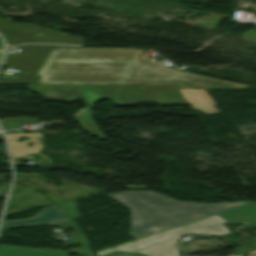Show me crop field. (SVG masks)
<instances>
[{
    "instance_id": "14",
    "label": "crop field",
    "mask_w": 256,
    "mask_h": 256,
    "mask_svg": "<svg viewBox=\"0 0 256 256\" xmlns=\"http://www.w3.org/2000/svg\"><path fill=\"white\" fill-rule=\"evenodd\" d=\"M86 256H94V254H89V255H86ZM110 256H139V255H128V254H123V253H117V254H112Z\"/></svg>"
},
{
    "instance_id": "22",
    "label": "crop field",
    "mask_w": 256,
    "mask_h": 256,
    "mask_svg": "<svg viewBox=\"0 0 256 256\" xmlns=\"http://www.w3.org/2000/svg\"><path fill=\"white\" fill-rule=\"evenodd\" d=\"M1 133V132H0Z\"/></svg>"
},
{
    "instance_id": "16",
    "label": "crop field",
    "mask_w": 256,
    "mask_h": 256,
    "mask_svg": "<svg viewBox=\"0 0 256 256\" xmlns=\"http://www.w3.org/2000/svg\"><path fill=\"white\" fill-rule=\"evenodd\" d=\"M2 56H3V51H0V62H1Z\"/></svg>"
},
{
    "instance_id": "18",
    "label": "crop field",
    "mask_w": 256,
    "mask_h": 256,
    "mask_svg": "<svg viewBox=\"0 0 256 256\" xmlns=\"http://www.w3.org/2000/svg\"><path fill=\"white\" fill-rule=\"evenodd\" d=\"M0 49H3V44L1 41H0Z\"/></svg>"
},
{
    "instance_id": "6",
    "label": "crop field",
    "mask_w": 256,
    "mask_h": 256,
    "mask_svg": "<svg viewBox=\"0 0 256 256\" xmlns=\"http://www.w3.org/2000/svg\"><path fill=\"white\" fill-rule=\"evenodd\" d=\"M68 219H70L69 216L58 205H55L42 209L36 216L28 219L3 221L0 235L5 234L11 228L43 226Z\"/></svg>"
},
{
    "instance_id": "17",
    "label": "crop field",
    "mask_w": 256,
    "mask_h": 256,
    "mask_svg": "<svg viewBox=\"0 0 256 256\" xmlns=\"http://www.w3.org/2000/svg\"><path fill=\"white\" fill-rule=\"evenodd\" d=\"M173 256H179V254H178V250H176V252L174 253V255Z\"/></svg>"
},
{
    "instance_id": "20",
    "label": "crop field",
    "mask_w": 256,
    "mask_h": 256,
    "mask_svg": "<svg viewBox=\"0 0 256 256\" xmlns=\"http://www.w3.org/2000/svg\"><path fill=\"white\" fill-rule=\"evenodd\" d=\"M194 233H204V232L198 231V232H194Z\"/></svg>"
},
{
    "instance_id": "3",
    "label": "crop field",
    "mask_w": 256,
    "mask_h": 256,
    "mask_svg": "<svg viewBox=\"0 0 256 256\" xmlns=\"http://www.w3.org/2000/svg\"><path fill=\"white\" fill-rule=\"evenodd\" d=\"M89 107L101 99L115 105L157 102L163 105L187 104L177 86L77 85Z\"/></svg>"
},
{
    "instance_id": "12",
    "label": "crop field",
    "mask_w": 256,
    "mask_h": 256,
    "mask_svg": "<svg viewBox=\"0 0 256 256\" xmlns=\"http://www.w3.org/2000/svg\"><path fill=\"white\" fill-rule=\"evenodd\" d=\"M38 122L39 120L31 118H13L0 120V123L4 129H17L21 128L20 125H29Z\"/></svg>"
},
{
    "instance_id": "10",
    "label": "crop field",
    "mask_w": 256,
    "mask_h": 256,
    "mask_svg": "<svg viewBox=\"0 0 256 256\" xmlns=\"http://www.w3.org/2000/svg\"><path fill=\"white\" fill-rule=\"evenodd\" d=\"M90 114H91L90 109H87L75 115V118L80 123L84 131H86L90 136L96 134L99 139L104 138Z\"/></svg>"
},
{
    "instance_id": "21",
    "label": "crop field",
    "mask_w": 256,
    "mask_h": 256,
    "mask_svg": "<svg viewBox=\"0 0 256 256\" xmlns=\"http://www.w3.org/2000/svg\"><path fill=\"white\" fill-rule=\"evenodd\" d=\"M0 139H3L1 134H0Z\"/></svg>"
},
{
    "instance_id": "7",
    "label": "crop field",
    "mask_w": 256,
    "mask_h": 256,
    "mask_svg": "<svg viewBox=\"0 0 256 256\" xmlns=\"http://www.w3.org/2000/svg\"><path fill=\"white\" fill-rule=\"evenodd\" d=\"M30 89L46 99L70 102L83 99L75 85H29Z\"/></svg>"
},
{
    "instance_id": "19",
    "label": "crop field",
    "mask_w": 256,
    "mask_h": 256,
    "mask_svg": "<svg viewBox=\"0 0 256 256\" xmlns=\"http://www.w3.org/2000/svg\"><path fill=\"white\" fill-rule=\"evenodd\" d=\"M248 256H256V253H252V254H250V255H248Z\"/></svg>"
},
{
    "instance_id": "1",
    "label": "crop field",
    "mask_w": 256,
    "mask_h": 256,
    "mask_svg": "<svg viewBox=\"0 0 256 256\" xmlns=\"http://www.w3.org/2000/svg\"><path fill=\"white\" fill-rule=\"evenodd\" d=\"M143 50L131 48H54L37 84L177 85L178 88L250 89L206 76L178 72L163 64L140 61Z\"/></svg>"
},
{
    "instance_id": "13",
    "label": "crop field",
    "mask_w": 256,
    "mask_h": 256,
    "mask_svg": "<svg viewBox=\"0 0 256 256\" xmlns=\"http://www.w3.org/2000/svg\"><path fill=\"white\" fill-rule=\"evenodd\" d=\"M61 206L73 218H75L77 216H80V213H78V211H77V205H76V203L74 201L73 202H69V203H65V204H61Z\"/></svg>"
},
{
    "instance_id": "2",
    "label": "crop field",
    "mask_w": 256,
    "mask_h": 256,
    "mask_svg": "<svg viewBox=\"0 0 256 256\" xmlns=\"http://www.w3.org/2000/svg\"><path fill=\"white\" fill-rule=\"evenodd\" d=\"M109 195L131 209L130 235L136 239L252 203H188L154 192H116Z\"/></svg>"
},
{
    "instance_id": "5",
    "label": "crop field",
    "mask_w": 256,
    "mask_h": 256,
    "mask_svg": "<svg viewBox=\"0 0 256 256\" xmlns=\"http://www.w3.org/2000/svg\"><path fill=\"white\" fill-rule=\"evenodd\" d=\"M26 136L28 141L24 140L22 142H18L17 140L22 136ZM9 141L13 164L14 166L22 165L23 161H30L35 166H43L52 163L50 159L38 152H41V149L44 148L41 139H43L41 133H15V134H7ZM34 144L31 148L28 147V143ZM39 142V144H37ZM31 154L38 155L42 157L39 161H37Z\"/></svg>"
},
{
    "instance_id": "4",
    "label": "crop field",
    "mask_w": 256,
    "mask_h": 256,
    "mask_svg": "<svg viewBox=\"0 0 256 256\" xmlns=\"http://www.w3.org/2000/svg\"><path fill=\"white\" fill-rule=\"evenodd\" d=\"M226 221L218 214L183 225L167 231L156 233L120 246L97 252V255H107L115 251L140 253L146 256H172L176 250V241L187 233L204 231L209 234H225L230 231L223 225Z\"/></svg>"
},
{
    "instance_id": "11",
    "label": "crop field",
    "mask_w": 256,
    "mask_h": 256,
    "mask_svg": "<svg viewBox=\"0 0 256 256\" xmlns=\"http://www.w3.org/2000/svg\"><path fill=\"white\" fill-rule=\"evenodd\" d=\"M0 256H69V254L0 248Z\"/></svg>"
},
{
    "instance_id": "8",
    "label": "crop field",
    "mask_w": 256,
    "mask_h": 256,
    "mask_svg": "<svg viewBox=\"0 0 256 256\" xmlns=\"http://www.w3.org/2000/svg\"><path fill=\"white\" fill-rule=\"evenodd\" d=\"M188 104L191 105L192 109H196L205 114H216L219 113L215 109V102L211 96L206 92L205 89H180ZM179 90V91H180Z\"/></svg>"
},
{
    "instance_id": "9",
    "label": "crop field",
    "mask_w": 256,
    "mask_h": 256,
    "mask_svg": "<svg viewBox=\"0 0 256 256\" xmlns=\"http://www.w3.org/2000/svg\"><path fill=\"white\" fill-rule=\"evenodd\" d=\"M54 226L58 227H63V228H69V227H75L74 230L77 235L71 236V239L73 240L72 242L66 244L65 246L72 245V244H77L79 242L82 243L83 248L81 249H76V250H71V251H58V250H46V249H36V248H26V247H17V246H7V245H0V247H7V248H22V249H32V250H42V251H53V252H65V253H79V254H89L92 253V250L90 248L89 243L85 239L83 233L79 229V227L71 221L63 222Z\"/></svg>"
},
{
    "instance_id": "15",
    "label": "crop field",
    "mask_w": 256,
    "mask_h": 256,
    "mask_svg": "<svg viewBox=\"0 0 256 256\" xmlns=\"http://www.w3.org/2000/svg\"><path fill=\"white\" fill-rule=\"evenodd\" d=\"M15 132H23L22 130H15V131H12V132H7V133H15Z\"/></svg>"
}]
</instances>
